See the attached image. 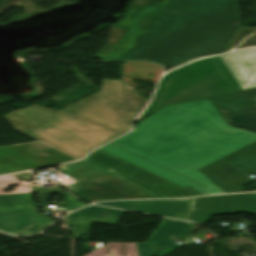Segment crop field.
<instances>
[{
    "label": "crop field",
    "mask_w": 256,
    "mask_h": 256,
    "mask_svg": "<svg viewBox=\"0 0 256 256\" xmlns=\"http://www.w3.org/2000/svg\"><path fill=\"white\" fill-rule=\"evenodd\" d=\"M110 28L95 57L150 60L173 69L227 51L240 29L239 0H132L126 17Z\"/></svg>",
    "instance_id": "1"
},
{
    "label": "crop field",
    "mask_w": 256,
    "mask_h": 256,
    "mask_svg": "<svg viewBox=\"0 0 256 256\" xmlns=\"http://www.w3.org/2000/svg\"><path fill=\"white\" fill-rule=\"evenodd\" d=\"M178 108L177 110H174ZM256 141V132L225 123L208 98L164 107L111 143L224 193L198 169Z\"/></svg>",
    "instance_id": "2"
},
{
    "label": "crop field",
    "mask_w": 256,
    "mask_h": 256,
    "mask_svg": "<svg viewBox=\"0 0 256 256\" xmlns=\"http://www.w3.org/2000/svg\"><path fill=\"white\" fill-rule=\"evenodd\" d=\"M21 132L78 159L92 148L118 136L115 133L36 105L6 116Z\"/></svg>",
    "instance_id": "3"
},
{
    "label": "crop field",
    "mask_w": 256,
    "mask_h": 256,
    "mask_svg": "<svg viewBox=\"0 0 256 256\" xmlns=\"http://www.w3.org/2000/svg\"><path fill=\"white\" fill-rule=\"evenodd\" d=\"M238 90L242 87L219 57L199 60L163 77L149 106L136 121L163 105Z\"/></svg>",
    "instance_id": "4"
},
{
    "label": "crop field",
    "mask_w": 256,
    "mask_h": 256,
    "mask_svg": "<svg viewBox=\"0 0 256 256\" xmlns=\"http://www.w3.org/2000/svg\"><path fill=\"white\" fill-rule=\"evenodd\" d=\"M123 90L121 80H102L100 91L59 111L121 134L131 129V122L142 111L125 102Z\"/></svg>",
    "instance_id": "5"
},
{
    "label": "crop field",
    "mask_w": 256,
    "mask_h": 256,
    "mask_svg": "<svg viewBox=\"0 0 256 256\" xmlns=\"http://www.w3.org/2000/svg\"><path fill=\"white\" fill-rule=\"evenodd\" d=\"M244 90L210 97L223 115L256 109V49L219 56Z\"/></svg>",
    "instance_id": "6"
},
{
    "label": "crop field",
    "mask_w": 256,
    "mask_h": 256,
    "mask_svg": "<svg viewBox=\"0 0 256 256\" xmlns=\"http://www.w3.org/2000/svg\"><path fill=\"white\" fill-rule=\"evenodd\" d=\"M82 161L144 189L157 198L184 197L174 190V188L180 186L100 149L94 151ZM109 169L114 171L112 172Z\"/></svg>",
    "instance_id": "7"
},
{
    "label": "crop field",
    "mask_w": 256,
    "mask_h": 256,
    "mask_svg": "<svg viewBox=\"0 0 256 256\" xmlns=\"http://www.w3.org/2000/svg\"><path fill=\"white\" fill-rule=\"evenodd\" d=\"M225 193L243 191L245 185L252 180L248 176H256V142L200 169ZM252 186H256V183Z\"/></svg>",
    "instance_id": "8"
},
{
    "label": "crop field",
    "mask_w": 256,
    "mask_h": 256,
    "mask_svg": "<svg viewBox=\"0 0 256 256\" xmlns=\"http://www.w3.org/2000/svg\"><path fill=\"white\" fill-rule=\"evenodd\" d=\"M72 160L42 143L0 147V175Z\"/></svg>",
    "instance_id": "9"
},
{
    "label": "crop field",
    "mask_w": 256,
    "mask_h": 256,
    "mask_svg": "<svg viewBox=\"0 0 256 256\" xmlns=\"http://www.w3.org/2000/svg\"><path fill=\"white\" fill-rule=\"evenodd\" d=\"M51 193H59L62 195L66 201L64 207L66 210L71 211L73 209L88 205L82 203L72 197L67 192H44L38 193L40 205H35L31 200L30 193H23V194H9V195H0V211L2 210H16V209H28L34 223V226L25 230L24 232L18 235H28V234H35L42 230L43 228L50 225L53 220L50 218L39 214L37 207H48L47 204L50 200Z\"/></svg>",
    "instance_id": "10"
},
{
    "label": "crop field",
    "mask_w": 256,
    "mask_h": 256,
    "mask_svg": "<svg viewBox=\"0 0 256 256\" xmlns=\"http://www.w3.org/2000/svg\"><path fill=\"white\" fill-rule=\"evenodd\" d=\"M227 213L256 215V193L197 198L190 220L206 222L211 214Z\"/></svg>",
    "instance_id": "11"
},
{
    "label": "crop field",
    "mask_w": 256,
    "mask_h": 256,
    "mask_svg": "<svg viewBox=\"0 0 256 256\" xmlns=\"http://www.w3.org/2000/svg\"><path fill=\"white\" fill-rule=\"evenodd\" d=\"M97 204L115 206L186 220L192 204V199L114 201Z\"/></svg>",
    "instance_id": "12"
},
{
    "label": "crop field",
    "mask_w": 256,
    "mask_h": 256,
    "mask_svg": "<svg viewBox=\"0 0 256 256\" xmlns=\"http://www.w3.org/2000/svg\"><path fill=\"white\" fill-rule=\"evenodd\" d=\"M124 213V210L88 206L70 213L64 219L69 223L74 232L73 238L76 239L90 231L91 222L117 225Z\"/></svg>",
    "instance_id": "13"
},
{
    "label": "crop field",
    "mask_w": 256,
    "mask_h": 256,
    "mask_svg": "<svg viewBox=\"0 0 256 256\" xmlns=\"http://www.w3.org/2000/svg\"><path fill=\"white\" fill-rule=\"evenodd\" d=\"M100 149L109 152L115 156L125 159L131 163H134L140 167H143L149 171H152L162 177H165L185 188H191L201 194H205L204 187L194 181H191L181 175H178L170 170H167L159 165H156L150 161H147L139 156H136L126 150H123L111 143L101 147Z\"/></svg>",
    "instance_id": "14"
},
{
    "label": "crop field",
    "mask_w": 256,
    "mask_h": 256,
    "mask_svg": "<svg viewBox=\"0 0 256 256\" xmlns=\"http://www.w3.org/2000/svg\"><path fill=\"white\" fill-rule=\"evenodd\" d=\"M188 222L164 218L146 243H137L139 256H152L158 244L171 246L176 239L188 233L184 231Z\"/></svg>",
    "instance_id": "15"
},
{
    "label": "crop field",
    "mask_w": 256,
    "mask_h": 256,
    "mask_svg": "<svg viewBox=\"0 0 256 256\" xmlns=\"http://www.w3.org/2000/svg\"><path fill=\"white\" fill-rule=\"evenodd\" d=\"M27 210L1 212L0 213V230L16 234L31 226Z\"/></svg>",
    "instance_id": "16"
},
{
    "label": "crop field",
    "mask_w": 256,
    "mask_h": 256,
    "mask_svg": "<svg viewBox=\"0 0 256 256\" xmlns=\"http://www.w3.org/2000/svg\"><path fill=\"white\" fill-rule=\"evenodd\" d=\"M86 256H137L135 243H109Z\"/></svg>",
    "instance_id": "17"
},
{
    "label": "crop field",
    "mask_w": 256,
    "mask_h": 256,
    "mask_svg": "<svg viewBox=\"0 0 256 256\" xmlns=\"http://www.w3.org/2000/svg\"><path fill=\"white\" fill-rule=\"evenodd\" d=\"M233 126L256 131V110L225 116Z\"/></svg>",
    "instance_id": "18"
},
{
    "label": "crop field",
    "mask_w": 256,
    "mask_h": 256,
    "mask_svg": "<svg viewBox=\"0 0 256 256\" xmlns=\"http://www.w3.org/2000/svg\"><path fill=\"white\" fill-rule=\"evenodd\" d=\"M123 84L125 86L124 96H125L126 102L144 108V106L147 104L148 101L144 100L126 82H124Z\"/></svg>",
    "instance_id": "19"
},
{
    "label": "crop field",
    "mask_w": 256,
    "mask_h": 256,
    "mask_svg": "<svg viewBox=\"0 0 256 256\" xmlns=\"http://www.w3.org/2000/svg\"><path fill=\"white\" fill-rule=\"evenodd\" d=\"M256 29H248V28H241L237 35L233 38L232 43L227 52L232 51V49L242 42L248 35L254 33Z\"/></svg>",
    "instance_id": "20"
},
{
    "label": "crop field",
    "mask_w": 256,
    "mask_h": 256,
    "mask_svg": "<svg viewBox=\"0 0 256 256\" xmlns=\"http://www.w3.org/2000/svg\"><path fill=\"white\" fill-rule=\"evenodd\" d=\"M249 47H256V34L247 39L242 45H240L237 49H245Z\"/></svg>",
    "instance_id": "21"
},
{
    "label": "crop field",
    "mask_w": 256,
    "mask_h": 256,
    "mask_svg": "<svg viewBox=\"0 0 256 256\" xmlns=\"http://www.w3.org/2000/svg\"><path fill=\"white\" fill-rule=\"evenodd\" d=\"M178 247H180V246L175 245V246H173V247H171V248H169V249L163 251L162 254L159 255V256H162V255H164V254H166V253H168V252H170V251H172V250H174V249H176V248H178Z\"/></svg>",
    "instance_id": "22"
},
{
    "label": "crop field",
    "mask_w": 256,
    "mask_h": 256,
    "mask_svg": "<svg viewBox=\"0 0 256 256\" xmlns=\"http://www.w3.org/2000/svg\"><path fill=\"white\" fill-rule=\"evenodd\" d=\"M194 199H195V198H194ZM194 199H193V202H194ZM192 206H193V204H192ZM191 209H192V207H191ZM190 212H191V210H190ZM189 216H190V213H189ZM189 216H188V219H189ZM188 219H187V220H188Z\"/></svg>",
    "instance_id": "23"
}]
</instances>
